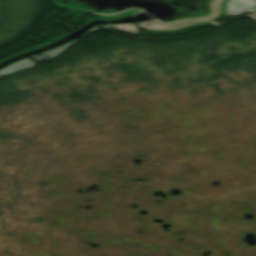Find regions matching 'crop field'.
<instances>
[{"label":"crop field","mask_w":256,"mask_h":256,"mask_svg":"<svg viewBox=\"0 0 256 256\" xmlns=\"http://www.w3.org/2000/svg\"><path fill=\"white\" fill-rule=\"evenodd\" d=\"M224 14L237 15L256 10V0H228Z\"/></svg>","instance_id":"1"},{"label":"crop field","mask_w":256,"mask_h":256,"mask_svg":"<svg viewBox=\"0 0 256 256\" xmlns=\"http://www.w3.org/2000/svg\"><path fill=\"white\" fill-rule=\"evenodd\" d=\"M32 64H35L34 62H32L31 60L25 58L19 62H16V63H13L3 69L0 70V75H3V74H7V73H11V72H14V71H17L19 69H22V68H25V67H28Z\"/></svg>","instance_id":"2"},{"label":"crop field","mask_w":256,"mask_h":256,"mask_svg":"<svg viewBox=\"0 0 256 256\" xmlns=\"http://www.w3.org/2000/svg\"><path fill=\"white\" fill-rule=\"evenodd\" d=\"M77 40H79V39H76V40H73V41H71V42H68V43H66V44H64V45H62V46H60V47H57V48H55V49H53V50L44 52V53H42V54L51 57V56H53V55H55L56 53L60 52V51L63 50L65 47H67L68 45L72 44L73 42H75V41H77Z\"/></svg>","instance_id":"3"},{"label":"crop field","mask_w":256,"mask_h":256,"mask_svg":"<svg viewBox=\"0 0 256 256\" xmlns=\"http://www.w3.org/2000/svg\"><path fill=\"white\" fill-rule=\"evenodd\" d=\"M95 28H97V27H94V28L90 29V30H89V31H87V32L89 33L91 30H93V29H95Z\"/></svg>","instance_id":"4"},{"label":"crop field","mask_w":256,"mask_h":256,"mask_svg":"<svg viewBox=\"0 0 256 256\" xmlns=\"http://www.w3.org/2000/svg\"><path fill=\"white\" fill-rule=\"evenodd\" d=\"M252 14H254V15L256 16V12H254V13H252Z\"/></svg>","instance_id":"5"}]
</instances>
